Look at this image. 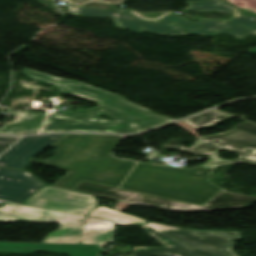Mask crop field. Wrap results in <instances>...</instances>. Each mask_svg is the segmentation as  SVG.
I'll list each match as a JSON object with an SVG mask.
<instances>
[{
	"mask_svg": "<svg viewBox=\"0 0 256 256\" xmlns=\"http://www.w3.org/2000/svg\"><path fill=\"white\" fill-rule=\"evenodd\" d=\"M215 167L204 164L188 170L138 163L121 188L204 205L222 189L209 180ZM197 171L202 172L195 178L193 175Z\"/></svg>",
	"mask_w": 256,
	"mask_h": 256,
	"instance_id": "4",
	"label": "crop field"
},
{
	"mask_svg": "<svg viewBox=\"0 0 256 256\" xmlns=\"http://www.w3.org/2000/svg\"><path fill=\"white\" fill-rule=\"evenodd\" d=\"M164 247H134L130 256H238V231H201L155 223L141 226Z\"/></svg>",
	"mask_w": 256,
	"mask_h": 256,
	"instance_id": "5",
	"label": "crop field"
},
{
	"mask_svg": "<svg viewBox=\"0 0 256 256\" xmlns=\"http://www.w3.org/2000/svg\"><path fill=\"white\" fill-rule=\"evenodd\" d=\"M189 6L185 9L195 11L214 10L235 14L225 22L199 20L191 22L177 13H168L159 20H145L127 9L120 12L92 10L69 5L72 14L114 19L117 26L134 32H151L161 35H188L199 34L215 36L226 33L243 39L251 33H256V17L243 16L234 6L215 2L212 0L187 1Z\"/></svg>",
	"mask_w": 256,
	"mask_h": 256,
	"instance_id": "3",
	"label": "crop field"
},
{
	"mask_svg": "<svg viewBox=\"0 0 256 256\" xmlns=\"http://www.w3.org/2000/svg\"><path fill=\"white\" fill-rule=\"evenodd\" d=\"M230 117H233V116L224 114L220 111L212 110L208 113L201 114L184 121L197 129H201L207 126L214 125L219 121L225 120Z\"/></svg>",
	"mask_w": 256,
	"mask_h": 256,
	"instance_id": "13",
	"label": "crop field"
},
{
	"mask_svg": "<svg viewBox=\"0 0 256 256\" xmlns=\"http://www.w3.org/2000/svg\"><path fill=\"white\" fill-rule=\"evenodd\" d=\"M124 136L68 134L52 147L58 150L48 161H29L69 170L54 185L74 190L81 180L120 188L137 162L112 156Z\"/></svg>",
	"mask_w": 256,
	"mask_h": 256,
	"instance_id": "2",
	"label": "crop field"
},
{
	"mask_svg": "<svg viewBox=\"0 0 256 256\" xmlns=\"http://www.w3.org/2000/svg\"><path fill=\"white\" fill-rule=\"evenodd\" d=\"M68 3L77 4L81 6H85L88 3L98 2V3H105V4H121L124 0H65Z\"/></svg>",
	"mask_w": 256,
	"mask_h": 256,
	"instance_id": "14",
	"label": "crop field"
},
{
	"mask_svg": "<svg viewBox=\"0 0 256 256\" xmlns=\"http://www.w3.org/2000/svg\"><path fill=\"white\" fill-rule=\"evenodd\" d=\"M75 190L115 199L118 201L129 202L136 205L155 206L174 211L241 208L252 206V203L256 201V196H246L238 193H232L224 189H222L204 206L149 196L84 181H81Z\"/></svg>",
	"mask_w": 256,
	"mask_h": 256,
	"instance_id": "7",
	"label": "crop field"
},
{
	"mask_svg": "<svg viewBox=\"0 0 256 256\" xmlns=\"http://www.w3.org/2000/svg\"><path fill=\"white\" fill-rule=\"evenodd\" d=\"M23 204L82 215L96 206L91 195L53 187H44Z\"/></svg>",
	"mask_w": 256,
	"mask_h": 256,
	"instance_id": "9",
	"label": "crop field"
},
{
	"mask_svg": "<svg viewBox=\"0 0 256 256\" xmlns=\"http://www.w3.org/2000/svg\"><path fill=\"white\" fill-rule=\"evenodd\" d=\"M128 205L130 204L120 202L116 205L114 210L108 209L106 207H98L95 210H93L89 214V216L113 220L116 222V225H141L146 223V221L143 219H139L134 216L121 212Z\"/></svg>",
	"mask_w": 256,
	"mask_h": 256,
	"instance_id": "12",
	"label": "crop field"
},
{
	"mask_svg": "<svg viewBox=\"0 0 256 256\" xmlns=\"http://www.w3.org/2000/svg\"><path fill=\"white\" fill-rule=\"evenodd\" d=\"M157 154H159L158 152H152V153H150V154H148L147 156H148V158L151 160L152 158H154ZM158 156V155H157ZM153 160V159H152Z\"/></svg>",
	"mask_w": 256,
	"mask_h": 256,
	"instance_id": "19",
	"label": "crop field"
},
{
	"mask_svg": "<svg viewBox=\"0 0 256 256\" xmlns=\"http://www.w3.org/2000/svg\"><path fill=\"white\" fill-rule=\"evenodd\" d=\"M36 251L70 256H98L100 253L106 252L100 245L0 243V252L33 253Z\"/></svg>",
	"mask_w": 256,
	"mask_h": 256,
	"instance_id": "10",
	"label": "crop field"
},
{
	"mask_svg": "<svg viewBox=\"0 0 256 256\" xmlns=\"http://www.w3.org/2000/svg\"><path fill=\"white\" fill-rule=\"evenodd\" d=\"M21 137H0V154Z\"/></svg>",
	"mask_w": 256,
	"mask_h": 256,
	"instance_id": "15",
	"label": "crop field"
},
{
	"mask_svg": "<svg viewBox=\"0 0 256 256\" xmlns=\"http://www.w3.org/2000/svg\"><path fill=\"white\" fill-rule=\"evenodd\" d=\"M240 9L243 11L245 14H250V15H256V10L242 6Z\"/></svg>",
	"mask_w": 256,
	"mask_h": 256,
	"instance_id": "18",
	"label": "crop field"
},
{
	"mask_svg": "<svg viewBox=\"0 0 256 256\" xmlns=\"http://www.w3.org/2000/svg\"><path fill=\"white\" fill-rule=\"evenodd\" d=\"M24 73L30 77L57 85L63 93L75 95L99 104L98 108L65 113L63 117L49 116L41 132L137 133L176 121L158 116L149 110L126 101L123 97L77 81L61 79L30 69H25ZM99 112L109 115L114 119L113 122L95 119L96 115H101ZM70 120L78 121V123H69Z\"/></svg>",
	"mask_w": 256,
	"mask_h": 256,
	"instance_id": "1",
	"label": "crop field"
},
{
	"mask_svg": "<svg viewBox=\"0 0 256 256\" xmlns=\"http://www.w3.org/2000/svg\"><path fill=\"white\" fill-rule=\"evenodd\" d=\"M175 124L178 126L183 125L184 127H182V129L196 135L198 140L190 148H184L182 147L185 143L183 140L171 139L169 142L161 146L162 148H177L181 150L188 149L190 150L188 152L191 154L210 155V158L206 163L218 166L239 162L256 165V136L236 129H231L225 133L200 137L195 132L196 129L185 122L181 121ZM214 141L220 142L214 143ZM246 149H250L253 152L248 153L246 152ZM220 150H230L237 153L239 157L233 160H223L218 157V151Z\"/></svg>",
	"mask_w": 256,
	"mask_h": 256,
	"instance_id": "8",
	"label": "crop field"
},
{
	"mask_svg": "<svg viewBox=\"0 0 256 256\" xmlns=\"http://www.w3.org/2000/svg\"><path fill=\"white\" fill-rule=\"evenodd\" d=\"M10 115L22 116V118L14 123L5 124L0 130V134H31L40 130L46 115L34 111L25 110H9ZM29 116H32L30 118ZM15 126V127H14Z\"/></svg>",
	"mask_w": 256,
	"mask_h": 256,
	"instance_id": "11",
	"label": "crop field"
},
{
	"mask_svg": "<svg viewBox=\"0 0 256 256\" xmlns=\"http://www.w3.org/2000/svg\"><path fill=\"white\" fill-rule=\"evenodd\" d=\"M229 1H231L238 7L241 5H245V6L256 9V0H229Z\"/></svg>",
	"mask_w": 256,
	"mask_h": 256,
	"instance_id": "17",
	"label": "crop field"
},
{
	"mask_svg": "<svg viewBox=\"0 0 256 256\" xmlns=\"http://www.w3.org/2000/svg\"><path fill=\"white\" fill-rule=\"evenodd\" d=\"M235 128L256 135V124H253L251 122H248V121L243 122L237 125Z\"/></svg>",
	"mask_w": 256,
	"mask_h": 256,
	"instance_id": "16",
	"label": "crop field"
},
{
	"mask_svg": "<svg viewBox=\"0 0 256 256\" xmlns=\"http://www.w3.org/2000/svg\"><path fill=\"white\" fill-rule=\"evenodd\" d=\"M248 52L256 53V48H255V49H252V50H250V51H248Z\"/></svg>",
	"mask_w": 256,
	"mask_h": 256,
	"instance_id": "20",
	"label": "crop field"
},
{
	"mask_svg": "<svg viewBox=\"0 0 256 256\" xmlns=\"http://www.w3.org/2000/svg\"><path fill=\"white\" fill-rule=\"evenodd\" d=\"M0 221L60 223V228L47 235L42 242L105 244L112 240V222L8 202L0 208Z\"/></svg>",
	"mask_w": 256,
	"mask_h": 256,
	"instance_id": "6",
	"label": "crop field"
}]
</instances>
